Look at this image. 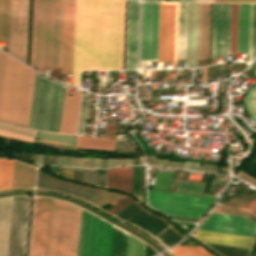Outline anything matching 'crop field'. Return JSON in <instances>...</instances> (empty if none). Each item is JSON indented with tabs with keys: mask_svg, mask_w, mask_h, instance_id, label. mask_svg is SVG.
<instances>
[{
	"mask_svg": "<svg viewBox=\"0 0 256 256\" xmlns=\"http://www.w3.org/2000/svg\"><path fill=\"white\" fill-rule=\"evenodd\" d=\"M125 0H77L72 85L81 70L122 69Z\"/></svg>",
	"mask_w": 256,
	"mask_h": 256,
	"instance_id": "8a807250",
	"label": "crop field"
},
{
	"mask_svg": "<svg viewBox=\"0 0 256 256\" xmlns=\"http://www.w3.org/2000/svg\"><path fill=\"white\" fill-rule=\"evenodd\" d=\"M35 71L0 52V121L27 127Z\"/></svg>",
	"mask_w": 256,
	"mask_h": 256,
	"instance_id": "ac0d7876",
	"label": "crop field"
},
{
	"mask_svg": "<svg viewBox=\"0 0 256 256\" xmlns=\"http://www.w3.org/2000/svg\"><path fill=\"white\" fill-rule=\"evenodd\" d=\"M59 0H34L31 66L56 68Z\"/></svg>",
	"mask_w": 256,
	"mask_h": 256,
	"instance_id": "34b2d1b8",
	"label": "crop field"
},
{
	"mask_svg": "<svg viewBox=\"0 0 256 256\" xmlns=\"http://www.w3.org/2000/svg\"><path fill=\"white\" fill-rule=\"evenodd\" d=\"M81 209L52 199L47 256H77Z\"/></svg>",
	"mask_w": 256,
	"mask_h": 256,
	"instance_id": "412701ff",
	"label": "crop field"
},
{
	"mask_svg": "<svg viewBox=\"0 0 256 256\" xmlns=\"http://www.w3.org/2000/svg\"><path fill=\"white\" fill-rule=\"evenodd\" d=\"M64 89L36 72L28 127L58 132Z\"/></svg>",
	"mask_w": 256,
	"mask_h": 256,
	"instance_id": "f4fd0767",
	"label": "crop field"
},
{
	"mask_svg": "<svg viewBox=\"0 0 256 256\" xmlns=\"http://www.w3.org/2000/svg\"><path fill=\"white\" fill-rule=\"evenodd\" d=\"M95 217L82 211L78 256H104L107 223ZM112 231L108 223L105 256H110ZM126 239L127 233L114 227L111 256H125Z\"/></svg>",
	"mask_w": 256,
	"mask_h": 256,
	"instance_id": "dd49c442",
	"label": "crop field"
},
{
	"mask_svg": "<svg viewBox=\"0 0 256 256\" xmlns=\"http://www.w3.org/2000/svg\"><path fill=\"white\" fill-rule=\"evenodd\" d=\"M216 197L148 190V204L168 216L199 219Z\"/></svg>",
	"mask_w": 256,
	"mask_h": 256,
	"instance_id": "e52e79f7",
	"label": "crop field"
},
{
	"mask_svg": "<svg viewBox=\"0 0 256 256\" xmlns=\"http://www.w3.org/2000/svg\"><path fill=\"white\" fill-rule=\"evenodd\" d=\"M75 1L60 0L57 68L61 73L72 74Z\"/></svg>",
	"mask_w": 256,
	"mask_h": 256,
	"instance_id": "d8731c3e",
	"label": "crop field"
},
{
	"mask_svg": "<svg viewBox=\"0 0 256 256\" xmlns=\"http://www.w3.org/2000/svg\"><path fill=\"white\" fill-rule=\"evenodd\" d=\"M178 3H160L158 62L176 61Z\"/></svg>",
	"mask_w": 256,
	"mask_h": 256,
	"instance_id": "5a996713",
	"label": "crop field"
},
{
	"mask_svg": "<svg viewBox=\"0 0 256 256\" xmlns=\"http://www.w3.org/2000/svg\"><path fill=\"white\" fill-rule=\"evenodd\" d=\"M31 198L13 197L8 256H25Z\"/></svg>",
	"mask_w": 256,
	"mask_h": 256,
	"instance_id": "3316defc",
	"label": "crop field"
},
{
	"mask_svg": "<svg viewBox=\"0 0 256 256\" xmlns=\"http://www.w3.org/2000/svg\"><path fill=\"white\" fill-rule=\"evenodd\" d=\"M28 0H10L8 53L25 62Z\"/></svg>",
	"mask_w": 256,
	"mask_h": 256,
	"instance_id": "28ad6ade",
	"label": "crop field"
},
{
	"mask_svg": "<svg viewBox=\"0 0 256 256\" xmlns=\"http://www.w3.org/2000/svg\"><path fill=\"white\" fill-rule=\"evenodd\" d=\"M159 3H142L140 62H157Z\"/></svg>",
	"mask_w": 256,
	"mask_h": 256,
	"instance_id": "d1516ede",
	"label": "crop field"
},
{
	"mask_svg": "<svg viewBox=\"0 0 256 256\" xmlns=\"http://www.w3.org/2000/svg\"><path fill=\"white\" fill-rule=\"evenodd\" d=\"M51 199L35 198L29 256H46Z\"/></svg>",
	"mask_w": 256,
	"mask_h": 256,
	"instance_id": "22f410ed",
	"label": "crop field"
},
{
	"mask_svg": "<svg viewBox=\"0 0 256 256\" xmlns=\"http://www.w3.org/2000/svg\"><path fill=\"white\" fill-rule=\"evenodd\" d=\"M231 4L213 3L212 57L229 54Z\"/></svg>",
	"mask_w": 256,
	"mask_h": 256,
	"instance_id": "cbeb9de0",
	"label": "crop field"
},
{
	"mask_svg": "<svg viewBox=\"0 0 256 256\" xmlns=\"http://www.w3.org/2000/svg\"><path fill=\"white\" fill-rule=\"evenodd\" d=\"M247 219L213 213L200 229L256 237V222L247 221Z\"/></svg>",
	"mask_w": 256,
	"mask_h": 256,
	"instance_id": "5142ce71",
	"label": "crop field"
},
{
	"mask_svg": "<svg viewBox=\"0 0 256 256\" xmlns=\"http://www.w3.org/2000/svg\"><path fill=\"white\" fill-rule=\"evenodd\" d=\"M114 216L138 227L153 238L170 227L164 220L151 216L133 202Z\"/></svg>",
	"mask_w": 256,
	"mask_h": 256,
	"instance_id": "d9b57169",
	"label": "crop field"
},
{
	"mask_svg": "<svg viewBox=\"0 0 256 256\" xmlns=\"http://www.w3.org/2000/svg\"><path fill=\"white\" fill-rule=\"evenodd\" d=\"M139 3L128 0L126 69L136 68Z\"/></svg>",
	"mask_w": 256,
	"mask_h": 256,
	"instance_id": "733c2abd",
	"label": "crop field"
},
{
	"mask_svg": "<svg viewBox=\"0 0 256 256\" xmlns=\"http://www.w3.org/2000/svg\"><path fill=\"white\" fill-rule=\"evenodd\" d=\"M199 3H188L186 68L197 66Z\"/></svg>",
	"mask_w": 256,
	"mask_h": 256,
	"instance_id": "4a817a6b",
	"label": "crop field"
},
{
	"mask_svg": "<svg viewBox=\"0 0 256 256\" xmlns=\"http://www.w3.org/2000/svg\"><path fill=\"white\" fill-rule=\"evenodd\" d=\"M37 187L74 195L85 201L89 200L91 197L99 192L98 190H92L76 185L67 184L65 182L53 179L40 171H38Z\"/></svg>",
	"mask_w": 256,
	"mask_h": 256,
	"instance_id": "bc2a9ffb",
	"label": "crop field"
},
{
	"mask_svg": "<svg viewBox=\"0 0 256 256\" xmlns=\"http://www.w3.org/2000/svg\"><path fill=\"white\" fill-rule=\"evenodd\" d=\"M69 91L67 87L59 132L75 134L81 91L74 89L73 96H69Z\"/></svg>",
	"mask_w": 256,
	"mask_h": 256,
	"instance_id": "214f88e0",
	"label": "crop field"
},
{
	"mask_svg": "<svg viewBox=\"0 0 256 256\" xmlns=\"http://www.w3.org/2000/svg\"><path fill=\"white\" fill-rule=\"evenodd\" d=\"M194 237L204 242L244 247V248H250V249H253L255 239H256L253 237L238 236V235L209 232V231H202V230L196 231Z\"/></svg>",
	"mask_w": 256,
	"mask_h": 256,
	"instance_id": "92a150f3",
	"label": "crop field"
},
{
	"mask_svg": "<svg viewBox=\"0 0 256 256\" xmlns=\"http://www.w3.org/2000/svg\"><path fill=\"white\" fill-rule=\"evenodd\" d=\"M107 188L120 190L132 195V167L107 169Z\"/></svg>",
	"mask_w": 256,
	"mask_h": 256,
	"instance_id": "dafd665d",
	"label": "crop field"
},
{
	"mask_svg": "<svg viewBox=\"0 0 256 256\" xmlns=\"http://www.w3.org/2000/svg\"><path fill=\"white\" fill-rule=\"evenodd\" d=\"M210 3H200L198 59L208 57Z\"/></svg>",
	"mask_w": 256,
	"mask_h": 256,
	"instance_id": "00972430",
	"label": "crop field"
},
{
	"mask_svg": "<svg viewBox=\"0 0 256 256\" xmlns=\"http://www.w3.org/2000/svg\"><path fill=\"white\" fill-rule=\"evenodd\" d=\"M12 197L0 199V256H7Z\"/></svg>",
	"mask_w": 256,
	"mask_h": 256,
	"instance_id": "a9b5d70f",
	"label": "crop field"
},
{
	"mask_svg": "<svg viewBox=\"0 0 256 256\" xmlns=\"http://www.w3.org/2000/svg\"><path fill=\"white\" fill-rule=\"evenodd\" d=\"M249 4H239L237 53L248 54Z\"/></svg>",
	"mask_w": 256,
	"mask_h": 256,
	"instance_id": "4177f3b9",
	"label": "crop field"
},
{
	"mask_svg": "<svg viewBox=\"0 0 256 256\" xmlns=\"http://www.w3.org/2000/svg\"><path fill=\"white\" fill-rule=\"evenodd\" d=\"M36 169L14 161L12 188L33 187Z\"/></svg>",
	"mask_w": 256,
	"mask_h": 256,
	"instance_id": "730fd06b",
	"label": "crop field"
},
{
	"mask_svg": "<svg viewBox=\"0 0 256 256\" xmlns=\"http://www.w3.org/2000/svg\"><path fill=\"white\" fill-rule=\"evenodd\" d=\"M187 3H179L177 58H185Z\"/></svg>",
	"mask_w": 256,
	"mask_h": 256,
	"instance_id": "eef30255",
	"label": "crop field"
},
{
	"mask_svg": "<svg viewBox=\"0 0 256 256\" xmlns=\"http://www.w3.org/2000/svg\"><path fill=\"white\" fill-rule=\"evenodd\" d=\"M115 140L77 136V147L114 150Z\"/></svg>",
	"mask_w": 256,
	"mask_h": 256,
	"instance_id": "ae1a2a85",
	"label": "crop field"
},
{
	"mask_svg": "<svg viewBox=\"0 0 256 256\" xmlns=\"http://www.w3.org/2000/svg\"><path fill=\"white\" fill-rule=\"evenodd\" d=\"M204 243V242H203ZM214 251H216L221 256H251L252 251L250 249L230 247L224 245L204 243Z\"/></svg>",
	"mask_w": 256,
	"mask_h": 256,
	"instance_id": "d3111659",
	"label": "crop field"
},
{
	"mask_svg": "<svg viewBox=\"0 0 256 256\" xmlns=\"http://www.w3.org/2000/svg\"><path fill=\"white\" fill-rule=\"evenodd\" d=\"M13 161L0 159V190L11 188Z\"/></svg>",
	"mask_w": 256,
	"mask_h": 256,
	"instance_id": "750c4746",
	"label": "crop field"
},
{
	"mask_svg": "<svg viewBox=\"0 0 256 256\" xmlns=\"http://www.w3.org/2000/svg\"><path fill=\"white\" fill-rule=\"evenodd\" d=\"M171 251L175 256H212L199 245L197 247L178 245L177 247L172 248Z\"/></svg>",
	"mask_w": 256,
	"mask_h": 256,
	"instance_id": "bd1437ed",
	"label": "crop field"
},
{
	"mask_svg": "<svg viewBox=\"0 0 256 256\" xmlns=\"http://www.w3.org/2000/svg\"><path fill=\"white\" fill-rule=\"evenodd\" d=\"M133 196L143 202V166L133 167Z\"/></svg>",
	"mask_w": 256,
	"mask_h": 256,
	"instance_id": "1d83c4d3",
	"label": "crop field"
},
{
	"mask_svg": "<svg viewBox=\"0 0 256 256\" xmlns=\"http://www.w3.org/2000/svg\"><path fill=\"white\" fill-rule=\"evenodd\" d=\"M9 0H0V40H7Z\"/></svg>",
	"mask_w": 256,
	"mask_h": 256,
	"instance_id": "120bbe31",
	"label": "crop field"
},
{
	"mask_svg": "<svg viewBox=\"0 0 256 256\" xmlns=\"http://www.w3.org/2000/svg\"><path fill=\"white\" fill-rule=\"evenodd\" d=\"M118 196H120V195L115 194V193L106 192V191H101L87 202L102 209L107 204H109L114 199H116Z\"/></svg>",
	"mask_w": 256,
	"mask_h": 256,
	"instance_id": "d32e631a",
	"label": "crop field"
},
{
	"mask_svg": "<svg viewBox=\"0 0 256 256\" xmlns=\"http://www.w3.org/2000/svg\"><path fill=\"white\" fill-rule=\"evenodd\" d=\"M238 4H232L230 54H236Z\"/></svg>",
	"mask_w": 256,
	"mask_h": 256,
	"instance_id": "5866460e",
	"label": "crop field"
},
{
	"mask_svg": "<svg viewBox=\"0 0 256 256\" xmlns=\"http://www.w3.org/2000/svg\"><path fill=\"white\" fill-rule=\"evenodd\" d=\"M252 18H253V4H250L249 61L251 60V46H252ZM255 55H256V4H254L252 59L255 57Z\"/></svg>",
	"mask_w": 256,
	"mask_h": 256,
	"instance_id": "028f5c9d",
	"label": "crop field"
},
{
	"mask_svg": "<svg viewBox=\"0 0 256 256\" xmlns=\"http://www.w3.org/2000/svg\"><path fill=\"white\" fill-rule=\"evenodd\" d=\"M254 66L256 75V61L254 63ZM244 102L249 114L251 115L256 124V85L253 86L250 89V91L246 94Z\"/></svg>",
	"mask_w": 256,
	"mask_h": 256,
	"instance_id": "e1f06a70",
	"label": "crop field"
},
{
	"mask_svg": "<svg viewBox=\"0 0 256 256\" xmlns=\"http://www.w3.org/2000/svg\"><path fill=\"white\" fill-rule=\"evenodd\" d=\"M144 243L128 235L126 256H143Z\"/></svg>",
	"mask_w": 256,
	"mask_h": 256,
	"instance_id": "0bd39190",
	"label": "crop field"
},
{
	"mask_svg": "<svg viewBox=\"0 0 256 256\" xmlns=\"http://www.w3.org/2000/svg\"><path fill=\"white\" fill-rule=\"evenodd\" d=\"M89 97H90V94L88 93L83 94L80 119H79L78 131H77L78 135H84V132H85Z\"/></svg>",
	"mask_w": 256,
	"mask_h": 256,
	"instance_id": "b80d0937",
	"label": "crop field"
},
{
	"mask_svg": "<svg viewBox=\"0 0 256 256\" xmlns=\"http://www.w3.org/2000/svg\"><path fill=\"white\" fill-rule=\"evenodd\" d=\"M250 210L248 208L219 205L215 212L248 217Z\"/></svg>",
	"mask_w": 256,
	"mask_h": 256,
	"instance_id": "c035e120",
	"label": "crop field"
},
{
	"mask_svg": "<svg viewBox=\"0 0 256 256\" xmlns=\"http://www.w3.org/2000/svg\"><path fill=\"white\" fill-rule=\"evenodd\" d=\"M83 183L95 186V170L83 169Z\"/></svg>",
	"mask_w": 256,
	"mask_h": 256,
	"instance_id": "c21b1889",
	"label": "crop field"
},
{
	"mask_svg": "<svg viewBox=\"0 0 256 256\" xmlns=\"http://www.w3.org/2000/svg\"><path fill=\"white\" fill-rule=\"evenodd\" d=\"M96 186L106 188V169L96 170Z\"/></svg>",
	"mask_w": 256,
	"mask_h": 256,
	"instance_id": "03da06ac",
	"label": "crop field"
},
{
	"mask_svg": "<svg viewBox=\"0 0 256 256\" xmlns=\"http://www.w3.org/2000/svg\"><path fill=\"white\" fill-rule=\"evenodd\" d=\"M134 200L130 199V198H125L124 200H122L121 202H119L118 204H116L114 207H112L111 209H109L108 213L110 214H115L117 211H119L120 209H122L123 207H125L127 204H129L130 202H132Z\"/></svg>",
	"mask_w": 256,
	"mask_h": 256,
	"instance_id": "b54c1fbb",
	"label": "crop field"
},
{
	"mask_svg": "<svg viewBox=\"0 0 256 256\" xmlns=\"http://www.w3.org/2000/svg\"><path fill=\"white\" fill-rule=\"evenodd\" d=\"M182 238H183V236L176 232L171 237H169L167 240H165L162 244L169 247V246L179 242Z\"/></svg>",
	"mask_w": 256,
	"mask_h": 256,
	"instance_id": "5d738f31",
	"label": "crop field"
},
{
	"mask_svg": "<svg viewBox=\"0 0 256 256\" xmlns=\"http://www.w3.org/2000/svg\"><path fill=\"white\" fill-rule=\"evenodd\" d=\"M248 207L252 208L248 220L256 221V192H255V194H254V196H253V198H252Z\"/></svg>",
	"mask_w": 256,
	"mask_h": 256,
	"instance_id": "d23c7cc5",
	"label": "crop field"
},
{
	"mask_svg": "<svg viewBox=\"0 0 256 256\" xmlns=\"http://www.w3.org/2000/svg\"><path fill=\"white\" fill-rule=\"evenodd\" d=\"M175 231V229L172 227H170L169 229H167L166 231H164L162 234H160L159 236H157L156 239L158 242H162L164 241L166 238H168L170 235H172Z\"/></svg>",
	"mask_w": 256,
	"mask_h": 256,
	"instance_id": "425ffa30",
	"label": "crop field"
},
{
	"mask_svg": "<svg viewBox=\"0 0 256 256\" xmlns=\"http://www.w3.org/2000/svg\"><path fill=\"white\" fill-rule=\"evenodd\" d=\"M73 180L82 183V169L73 168Z\"/></svg>",
	"mask_w": 256,
	"mask_h": 256,
	"instance_id": "25e5ab78",
	"label": "crop field"
},
{
	"mask_svg": "<svg viewBox=\"0 0 256 256\" xmlns=\"http://www.w3.org/2000/svg\"><path fill=\"white\" fill-rule=\"evenodd\" d=\"M62 158H63V156H58L56 165H61V163H62ZM70 158H71V157L64 156L63 164H62V165L69 166Z\"/></svg>",
	"mask_w": 256,
	"mask_h": 256,
	"instance_id": "73cf0c24",
	"label": "crop field"
},
{
	"mask_svg": "<svg viewBox=\"0 0 256 256\" xmlns=\"http://www.w3.org/2000/svg\"><path fill=\"white\" fill-rule=\"evenodd\" d=\"M182 164L183 163H180V162H174V161H168L166 160V163H165V166H168V167H177V168H182Z\"/></svg>",
	"mask_w": 256,
	"mask_h": 256,
	"instance_id": "89e229c0",
	"label": "crop field"
},
{
	"mask_svg": "<svg viewBox=\"0 0 256 256\" xmlns=\"http://www.w3.org/2000/svg\"><path fill=\"white\" fill-rule=\"evenodd\" d=\"M2 124V123H1ZM5 125H7V124H5ZM11 126V125H10ZM1 127V126H0ZM6 127V126H5ZM4 127V128H5ZM4 128H0L1 130H5V131H10V132H15V133H21V134H26V135H32V134H27V133H23V132H18V131H14V130H9V129H4ZM9 128H12V127H9ZM20 128V127H19ZM13 129H17V128H13ZM24 129V128H23ZM18 130H21V129H18ZM29 130V129H28ZM22 131H25V130H22ZM27 132H29V131H27ZM33 133V132H32ZM17 136V135H16ZM32 136H34V135H32ZM22 137V136H21Z\"/></svg>",
	"mask_w": 256,
	"mask_h": 256,
	"instance_id": "1f2cbd36",
	"label": "crop field"
},
{
	"mask_svg": "<svg viewBox=\"0 0 256 256\" xmlns=\"http://www.w3.org/2000/svg\"><path fill=\"white\" fill-rule=\"evenodd\" d=\"M203 165L218 167L217 165H209V164H205V163H204ZM207 166H203V168L218 170V168H214V167H207ZM202 171H205V172H218V171H214V170H206V169H203Z\"/></svg>",
	"mask_w": 256,
	"mask_h": 256,
	"instance_id": "dbb93151",
	"label": "crop field"
},
{
	"mask_svg": "<svg viewBox=\"0 0 256 256\" xmlns=\"http://www.w3.org/2000/svg\"><path fill=\"white\" fill-rule=\"evenodd\" d=\"M117 165H126L124 159H114V166Z\"/></svg>",
	"mask_w": 256,
	"mask_h": 256,
	"instance_id": "0fb4a251",
	"label": "crop field"
},
{
	"mask_svg": "<svg viewBox=\"0 0 256 256\" xmlns=\"http://www.w3.org/2000/svg\"><path fill=\"white\" fill-rule=\"evenodd\" d=\"M228 2H246V3H256V0H228Z\"/></svg>",
	"mask_w": 256,
	"mask_h": 256,
	"instance_id": "1d79db26",
	"label": "crop field"
},
{
	"mask_svg": "<svg viewBox=\"0 0 256 256\" xmlns=\"http://www.w3.org/2000/svg\"><path fill=\"white\" fill-rule=\"evenodd\" d=\"M156 157L154 156H148V164L155 165Z\"/></svg>",
	"mask_w": 256,
	"mask_h": 256,
	"instance_id": "9d1cf04e",
	"label": "crop field"
},
{
	"mask_svg": "<svg viewBox=\"0 0 256 256\" xmlns=\"http://www.w3.org/2000/svg\"><path fill=\"white\" fill-rule=\"evenodd\" d=\"M78 158L72 157L70 166H77Z\"/></svg>",
	"mask_w": 256,
	"mask_h": 256,
	"instance_id": "447ae74e",
	"label": "crop field"
},
{
	"mask_svg": "<svg viewBox=\"0 0 256 256\" xmlns=\"http://www.w3.org/2000/svg\"><path fill=\"white\" fill-rule=\"evenodd\" d=\"M107 167V159H101V168Z\"/></svg>",
	"mask_w": 256,
	"mask_h": 256,
	"instance_id": "0765c3eb",
	"label": "crop field"
},
{
	"mask_svg": "<svg viewBox=\"0 0 256 256\" xmlns=\"http://www.w3.org/2000/svg\"><path fill=\"white\" fill-rule=\"evenodd\" d=\"M93 167H98L100 168V159H95L94 161V166Z\"/></svg>",
	"mask_w": 256,
	"mask_h": 256,
	"instance_id": "db79e9e6",
	"label": "crop field"
},
{
	"mask_svg": "<svg viewBox=\"0 0 256 256\" xmlns=\"http://www.w3.org/2000/svg\"><path fill=\"white\" fill-rule=\"evenodd\" d=\"M165 160L157 159L156 165L164 166Z\"/></svg>",
	"mask_w": 256,
	"mask_h": 256,
	"instance_id": "7b73153f",
	"label": "crop field"
},
{
	"mask_svg": "<svg viewBox=\"0 0 256 256\" xmlns=\"http://www.w3.org/2000/svg\"><path fill=\"white\" fill-rule=\"evenodd\" d=\"M224 64L220 65L219 76H223Z\"/></svg>",
	"mask_w": 256,
	"mask_h": 256,
	"instance_id": "78b8030e",
	"label": "crop field"
},
{
	"mask_svg": "<svg viewBox=\"0 0 256 256\" xmlns=\"http://www.w3.org/2000/svg\"><path fill=\"white\" fill-rule=\"evenodd\" d=\"M38 156H39V154L37 155V158H36V161H35L36 163H37V161H38ZM43 156H44V155H40V156H39V161H38L39 164H41Z\"/></svg>",
	"mask_w": 256,
	"mask_h": 256,
	"instance_id": "0f1d7ab4",
	"label": "crop field"
},
{
	"mask_svg": "<svg viewBox=\"0 0 256 256\" xmlns=\"http://www.w3.org/2000/svg\"><path fill=\"white\" fill-rule=\"evenodd\" d=\"M189 163L190 162L185 161L182 169H188Z\"/></svg>",
	"mask_w": 256,
	"mask_h": 256,
	"instance_id": "e1d0b9f6",
	"label": "crop field"
},
{
	"mask_svg": "<svg viewBox=\"0 0 256 256\" xmlns=\"http://www.w3.org/2000/svg\"><path fill=\"white\" fill-rule=\"evenodd\" d=\"M117 149H133L132 146L117 147Z\"/></svg>",
	"mask_w": 256,
	"mask_h": 256,
	"instance_id": "ae633e8c",
	"label": "crop field"
},
{
	"mask_svg": "<svg viewBox=\"0 0 256 256\" xmlns=\"http://www.w3.org/2000/svg\"><path fill=\"white\" fill-rule=\"evenodd\" d=\"M168 1L194 2V0H168Z\"/></svg>",
	"mask_w": 256,
	"mask_h": 256,
	"instance_id": "d14b1444",
	"label": "crop field"
},
{
	"mask_svg": "<svg viewBox=\"0 0 256 256\" xmlns=\"http://www.w3.org/2000/svg\"><path fill=\"white\" fill-rule=\"evenodd\" d=\"M113 166V159H108V167Z\"/></svg>",
	"mask_w": 256,
	"mask_h": 256,
	"instance_id": "c39391a2",
	"label": "crop field"
},
{
	"mask_svg": "<svg viewBox=\"0 0 256 256\" xmlns=\"http://www.w3.org/2000/svg\"><path fill=\"white\" fill-rule=\"evenodd\" d=\"M58 147H61V148H75L76 149V146H62V145H58Z\"/></svg>",
	"mask_w": 256,
	"mask_h": 256,
	"instance_id": "ade564c9",
	"label": "crop field"
},
{
	"mask_svg": "<svg viewBox=\"0 0 256 256\" xmlns=\"http://www.w3.org/2000/svg\"><path fill=\"white\" fill-rule=\"evenodd\" d=\"M89 159H84L83 167H87Z\"/></svg>",
	"mask_w": 256,
	"mask_h": 256,
	"instance_id": "c5b07064",
	"label": "crop field"
},
{
	"mask_svg": "<svg viewBox=\"0 0 256 256\" xmlns=\"http://www.w3.org/2000/svg\"><path fill=\"white\" fill-rule=\"evenodd\" d=\"M195 2H213V0H195Z\"/></svg>",
	"mask_w": 256,
	"mask_h": 256,
	"instance_id": "c3a83c6f",
	"label": "crop field"
},
{
	"mask_svg": "<svg viewBox=\"0 0 256 256\" xmlns=\"http://www.w3.org/2000/svg\"><path fill=\"white\" fill-rule=\"evenodd\" d=\"M195 164H196V163L191 162V164H190V168H189V169L194 170V168H195Z\"/></svg>",
	"mask_w": 256,
	"mask_h": 256,
	"instance_id": "fb207236",
	"label": "crop field"
},
{
	"mask_svg": "<svg viewBox=\"0 0 256 256\" xmlns=\"http://www.w3.org/2000/svg\"><path fill=\"white\" fill-rule=\"evenodd\" d=\"M83 159L79 158L78 166L82 167Z\"/></svg>",
	"mask_w": 256,
	"mask_h": 256,
	"instance_id": "7312dd0a",
	"label": "crop field"
},
{
	"mask_svg": "<svg viewBox=\"0 0 256 256\" xmlns=\"http://www.w3.org/2000/svg\"><path fill=\"white\" fill-rule=\"evenodd\" d=\"M94 159H90L88 167H92Z\"/></svg>",
	"mask_w": 256,
	"mask_h": 256,
	"instance_id": "180be81f",
	"label": "crop field"
},
{
	"mask_svg": "<svg viewBox=\"0 0 256 256\" xmlns=\"http://www.w3.org/2000/svg\"><path fill=\"white\" fill-rule=\"evenodd\" d=\"M138 158L140 159L141 164H144V163H145V161H144V159L142 158V156H139Z\"/></svg>",
	"mask_w": 256,
	"mask_h": 256,
	"instance_id": "f0312440",
	"label": "crop field"
},
{
	"mask_svg": "<svg viewBox=\"0 0 256 256\" xmlns=\"http://www.w3.org/2000/svg\"><path fill=\"white\" fill-rule=\"evenodd\" d=\"M122 137H127V135H125V136H119V137H117V138H122ZM125 139H127V138L117 139V141H119V140H125Z\"/></svg>",
	"mask_w": 256,
	"mask_h": 256,
	"instance_id": "1f1604b0",
	"label": "crop field"
},
{
	"mask_svg": "<svg viewBox=\"0 0 256 256\" xmlns=\"http://www.w3.org/2000/svg\"><path fill=\"white\" fill-rule=\"evenodd\" d=\"M214 2H227V0H214Z\"/></svg>",
	"mask_w": 256,
	"mask_h": 256,
	"instance_id": "819c52e7",
	"label": "crop field"
},
{
	"mask_svg": "<svg viewBox=\"0 0 256 256\" xmlns=\"http://www.w3.org/2000/svg\"><path fill=\"white\" fill-rule=\"evenodd\" d=\"M129 160H130V164L132 165V163H131V159H129ZM129 160H128V159H126V164H127V165H130V164H129Z\"/></svg>",
	"mask_w": 256,
	"mask_h": 256,
	"instance_id": "c821d689",
	"label": "crop field"
},
{
	"mask_svg": "<svg viewBox=\"0 0 256 256\" xmlns=\"http://www.w3.org/2000/svg\"><path fill=\"white\" fill-rule=\"evenodd\" d=\"M35 142H38V141H35ZM38 143H44V142H38ZM44 144H49V145H54V146H56V144H51V143H44Z\"/></svg>",
	"mask_w": 256,
	"mask_h": 256,
	"instance_id": "a0ae1fb6",
	"label": "crop field"
},
{
	"mask_svg": "<svg viewBox=\"0 0 256 256\" xmlns=\"http://www.w3.org/2000/svg\"><path fill=\"white\" fill-rule=\"evenodd\" d=\"M198 168H199V166H196V169H195V170H197V171H198ZM201 169H202V166H200L199 171H201Z\"/></svg>",
	"mask_w": 256,
	"mask_h": 256,
	"instance_id": "8de936bc",
	"label": "crop field"
},
{
	"mask_svg": "<svg viewBox=\"0 0 256 256\" xmlns=\"http://www.w3.org/2000/svg\"><path fill=\"white\" fill-rule=\"evenodd\" d=\"M144 1H162V0H144Z\"/></svg>",
	"mask_w": 256,
	"mask_h": 256,
	"instance_id": "920284fa",
	"label": "crop field"
}]
</instances>
